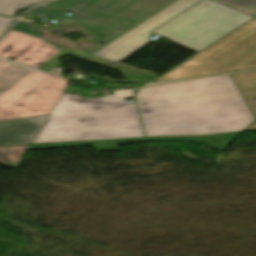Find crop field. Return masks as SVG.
<instances>
[{"instance_id": "crop-field-1", "label": "crop field", "mask_w": 256, "mask_h": 256, "mask_svg": "<svg viewBox=\"0 0 256 256\" xmlns=\"http://www.w3.org/2000/svg\"><path fill=\"white\" fill-rule=\"evenodd\" d=\"M136 96L147 136L245 131L255 120L229 74L147 87Z\"/></svg>"}, {"instance_id": "crop-field-2", "label": "crop field", "mask_w": 256, "mask_h": 256, "mask_svg": "<svg viewBox=\"0 0 256 256\" xmlns=\"http://www.w3.org/2000/svg\"><path fill=\"white\" fill-rule=\"evenodd\" d=\"M62 94L33 143L143 136L133 90L101 98Z\"/></svg>"}, {"instance_id": "crop-field-3", "label": "crop field", "mask_w": 256, "mask_h": 256, "mask_svg": "<svg viewBox=\"0 0 256 256\" xmlns=\"http://www.w3.org/2000/svg\"><path fill=\"white\" fill-rule=\"evenodd\" d=\"M177 1L51 0L39 6L75 13L68 16L65 15L66 12L45 8H34L30 13L46 15L56 20L124 30L90 52L95 54Z\"/></svg>"}, {"instance_id": "crop-field-4", "label": "crop field", "mask_w": 256, "mask_h": 256, "mask_svg": "<svg viewBox=\"0 0 256 256\" xmlns=\"http://www.w3.org/2000/svg\"><path fill=\"white\" fill-rule=\"evenodd\" d=\"M68 81L0 58V120L50 114Z\"/></svg>"}, {"instance_id": "crop-field-5", "label": "crop field", "mask_w": 256, "mask_h": 256, "mask_svg": "<svg viewBox=\"0 0 256 256\" xmlns=\"http://www.w3.org/2000/svg\"><path fill=\"white\" fill-rule=\"evenodd\" d=\"M256 68V19L223 36L155 81L203 77Z\"/></svg>"}, {"instance_id": "crop-field-6", "label": "crop field", "mask_w": 256, "mask_h": 256, "mask_svg": "<svg viewBox=\"0 0 256 256\" xmlns=\"http://www.w3.org/2000/svg\"><path fill=\"white\" fill-rule=\"evenodd\" d=\"M252 17L203 0L155 31L169 42L200 51Z\"/></svg>"}, {"instance_id": "crop-field-7", "label": "crop field", "mask_w": 256, "mask_h": 256, "mask_svg": "<svg viewBox=\"0 0 256 256\" xmlns=\"http://www.w3.org/2000/svg\"><path fill=\"white\" fill-rule=\"evenodd\" d=\"M68 54L85 60L93 56L77 50H58L42 38L14 30L0 42V56H13L14 61L46 71L61 67L59 58Z\"/></svg>"}, {"instance_id": "crop-field-8", "label": "crop field", "mask_w": 256, "mask_h": 256, "mask_svg": "<svg viewBox=\"0 0 256 256\" xmlns=\"http://www.w3.org/2000/svg\"><path fill=\"white\" fill-rule=\"evenodd\" d=\"M200 0H180L95 55L122 61L146 44L150 32Z\"/></svg>"}, {"instance_id": "crop-field-9", "label": "crop field", "mask_w": 256, "mask_h": 256, "mask_svg": "<svg viewBox=\"0 0 256 256\" xmlns=\"http://www.w3.org/2000/svg\"><path fill=\"white\" fill-rule=\"evenodd\" d=\"M240 134L241 133L212 135V136H200V137L139 138V139H125V140H111V141H97V142L40 144V145H31L29 150L92 145L98 152H105V151L121 150L116 143L147 141V140H157V141L183 140V141H194V142L207 144V145H210V146L214 147L215 149L221 151L223 149H226Z\"/></svg>"}, {"instance_id": "crop-field-10", "label": "crop field", "mask_w": 256, "mask_h": 256, "mask_svg": "<svg viewBox=\"0 0 256 256\" xmlns=\"http://www.w3.org/2000/svg\"><path fill=\"white\" fill-rule=\"evenodd\" d=\"M48 115L0 121V145L32 143Z\"/></svg>"}, {"instance_id": "crop-field-11", "label": "crop field", "mask_w": 256, "mask_h": 256, "mask_svg": "<svg viewBox=\"0 0 256 256\" xmlns=\"http://www.w3.org/2000/svg\"><path fill=\"white\" fill-rule=\"evenodd\" d=\"M256 119V70L230 74ZM256 130V120L246 130Z\"/></svg>"}, {"instance_id": "crop-field-12", "label": "crop field", "mask_w": 256, "mask_h": 256, "mask_svg": "<svg viewBox=\"0 0 256 256\" xmlns=\"http://www.w3.org/2000/svg\"><path fill=\"white\" fill-rule=\"evenodd\" d=\"M29 146L0 147V163L18 168Z\"/></svg>"}, {"instance_id": "crop-field-13", "label": "crop field", "mask_w": 256, "mask_h": 256, "mask_svg": "<svg viewBox=\"0 0 256 256\" xmlns=\"http://www.w3.org/2000/svg\"><path fill=\"white\" fill-rule=\"evenodd\" d=\"M40 1L42 0H0V14L15 17L16 10Z\"/></svg>"}, {"instance_id": "crop-field-14", "label": "crop field", "mask_w": 256, "mask_h": 256, "mask_svg": "<svg viewBox=\"0 0 256 256\" xmlns=\"http://www.w3.org/2000/svg\"><path fill=\"white\" fill-rule=\"evenodd\" d=\"M232 7H235L239 10H247L252 6L256 5V0H215Z\"/></svg>"}, {"instance_id": "crop-field-15", "label": "crop field", "mask_w": 256, "mask_h": 256, "mask_svg": "<svg viewBox=\"0 0 256 256\" xmlns=\"http://www.w3.org/2000/svg\"><path fill=\"white\" fill-rule=\"evenodd\" d=\"M15 19L6 18L0 16V38L5 34V32L10 28Z\"/></svg>"}, {"instance_id": "crop-field-16", "label": "crop field", "mask_w": 256, "mask_h": 256, "mask_svg": "<svg viewBox=\"0 0 256 256\" xmlns=\"http://www.w3.org/2000/svg\"><path fill=\"white\" fill-rule=\"evenodd\" d=\"M14 29L19 30V31H23V32H26V33H29V34H33V35H36V36H39V37L42 36V34L40 32L33 30L29 25L23 24V23H20V22H18V24L15 26Z\"/></svg>"}, {"instance_id": "crop-field-17", "label": "crop field", "mask_w": 256, "mask_h": 256, "mask_svg": "<svg viewBox=\"0 0 256 256\" xmlns=\"http://www.w3.org/2000/svg\"><path fill=\"white\" fill-rule=\"evenodd\" d=\"M175 81H178V80H175ZM165 82H171V81H165ZM165 82H155V83H149V84H147V85H153V84H159V83H165ZM146 85V86H147Z\"/></svg>"}, {"instance_id": "crop-field-18", "label": "crop field", "mask_w": 256, "mask_h": 256, "mask_svg": "<svg viewBox=\"0 0 256 256\" xmlns=\"http://www.w3.org/2000/svg\"><path fill=\"white\" fill-rule=\"evenodd\" d=\"M251 14H253V15L256 16V9L252 10V11H251Z\"/></svg>"}]
</instances>
